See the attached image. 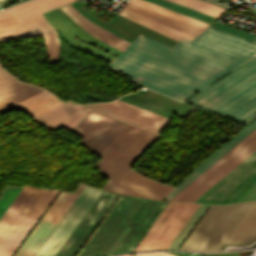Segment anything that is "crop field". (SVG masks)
<instances>
[{
	"instance_id": "obj_1",
	"label": "crop field",
	"mask_w": 256,
	"mask_h": 256,
	"mask_svg": "<svg viewBox=\"0 0 256 256\" xmlns=\"http://www.w3.org/2000/svg\"><path fill=\"white\" fill-rule=\"evenodd\" d=\"M256 54V44L208 27L191 41L173 47L143 35L109 68L131 81L184 100Z\"/></svg>"
},
{
	"instance_id": "obj_2",
	"label": "crop field",
	"mask_w": 256,
	"mask_h": 256,
	"mask_svg": "<svg viewBox=\"0 0 256 256\" xmlns=\"http://www.w3.org/2000/svg\"><path fill=\"white\" fill-rule=\"evenodd\" d=\"M166 203L121 195L77 256L132 251Z\"/></svg>"
},
{
	"instance_id": "obj_3",
	"label": "crop field",
	"mask_w": 256,
	"mask_h": 256,
	"mask_svg": "<svg viewBox=\"0 0 256 256\" xmlns=\"http://www.w3.org/2000/svg\"><path fill=\"white\" fill-rule=\"evenodd\" d=\"M186 102L247 124L256 117V56Z\"/></svg>"
},
{
	"instance_id": "obj_4",
	"label": "crop field",
	"mask_w": 256,
	"mask_h": 256,
	"mask_svg": "<svg viewBox=\"0 0 256 256\" xmlns=\"http://www.w3.org/2000/svg\"><path fill=\"white\" fill-rule=\"evenodd\" d=\"M251 203L211 205L180 249L217 250ZM255 238L256 201H253L224 242L252 243Z\"/></svg>"
},
{
	"instance_id": "obj_5",
	"label": "crop field",
	"mask_w": 256,
	"mask_h": 256,
	"mask_svg": "<svg viewBox=\"0 0 256 256\" xmlns=\"http://www.w3.org/2000/svg\"><path fill=\"white\" fill-rule=\"evenodd\" d=\"M76 0H30L20 5L1 11L0 14V41H7L19 37H31L42 34L45 41L49 63L59 62L60 46L57 31L45 20L42 13L58 8Z\"/></svg>"
},
{
	"instance_id": "obj_6",
	"label": "crop field",
	"mask_w": 256,
	"mask_h": 256,
	"mask_svg": "<svg viewBox=\"0 0 256 256\" xmlns=\"http://www.w3.org/2000/svg\"><path fill=\"white\" fill-rule=\"evenodd\" d=\"M129 125L98 156L102 157L98 168L109 178L114 179L140 156L158 137Z\"/></svg>"
},
{
	"instance_id": "obj_7",
	"label": "crop field",
	"mask_w": 256,
	"mask_h": 256,
	"mask_svg": "<svg viewBox=\"0 0 256 256\" xmlns=\"http://www.w3.org/2000/svg\"><path fill=\"white\" fill-rule=\"evenodd\" d=\"M256 182V150L194 202L232 203Z\"/></svg>"
},
{
	"instance_id": "obj_8",
	"label": "crop field",
	"mask_w": 256,
	"mask_h": 256,
	"mask_svg": "<svg viewBox=\"0 0 256 256\" xmlns=\"http://www.w3.org/2000/svg\"><path fill=\"white\" fill-rule=\"evenodd\" d=\"M198 205L169 202L135 250L168 248Z\"/></svg>"
},
{
	"instance_id": "obj_9",
	"label": "crop field",
	"mask_w": 256,
	"mask_h": 256,
	"mask_svg": "<svg viewBox=\"0 0 256 256\" xmlns=\"http://www.w3.org/2000/svg\"><path fill=\"white\" fill-rule=\"evenodd\" d=\"M117 197L102 191L55 256H74Z\"/></svg>"
},
{
	"instance_id": "obj_10",
	"label": "crop field",
	"mask_w": 256,
	"mask_h": 256,
	"mask_svg": "<svg viewBox=\"0 0 256 256\" xmlns=\"http://www.w3.org/2000/svg\"><path fill=\"white\" fill-rule=\"evenodd\" d=\"M84 185H80L75 194L61 192L56 201L53 203L51 208L45 214L43 219L21 246L15 256H33L40 245L43 243L45 238L54 228L56 223L65 213L67 208L73 202L75 197L81 191Z\"/></svg>"
},
{
	"instance_id": "obj_11",
	"label": "crop field",
	"mask_w": 256,
	"mask_h": 256,
	"mask_svg": "<svg viewBox=\"0 0 256 256\" xmlns=\"http://www.w3.org/2000/svg\"><path fill=\"white\" fill-rule=\"evenodd\" d=\"M118 99L162 115L169 119L173 114L185 118L198 109L162 96L150 90L146 91L143 89L136 93L122 96Z\"/></svg>"
},
{
	"instance_id": "obj_12",
	"label": "crop field",
	"mask_w": 256,
	"mask_h": 256,
	"mask_svg": "<svg viewBox=\"0 0 256 256\" xmlns=\"http://www.w3.org/2000/svg\"><path fill=\"white\" fill-rule=\"evenodd\" d=\"M43 192L25 186L0 218V249Z\"/></svg>"
},
{
	"instance_id": "obj_13",
	"label": "crop field",
	"mask_w": 256,
	"mask_h": 256,
	"mask_svg": "<svg viewBox=\"0 0 256 256\" xmlns=\"http://www.w3.org/2000/svg\"><path fill=\"white\" fill-rule=\"evenodd\" d=\"M256 149V135L177 201L193 202Z\"/></svg>"
},
{
	"instance_id": "obj_14",
	"label": "crop field",
	"mask_w": 256,
	"mask_h": 256,
	"mask_svg": "<svg viewBox=\"0 0 256 256\" xmlns=\"http://www.w3.org/2000/svg\"><path fill=\"white\" fill-rule=\"evenodd\" d=\"M90 111L73 102H67L31 120L45 127H64L71 130Z\"/></svg>"
},
{
	"instance_id": "obj_15",
	"label": "crop field",
	"mask_w": 256,
	"mask_h": 256,
	"mask_svg": "<svg viewBox=\"0 0 256 256\" xmlns=\"http://www.w3.org/2000/svg\"><path fill=\"white\" fill-rule=\"evenodd\" d=\"M256 128V119L249 124L246 128L241 130L235 137L225 143L216 152H214L210 157H208L204 162H202L196 169H194L188 176H186L180 183H178L172 192L167 196V200L172 198L176 193H178L182 188H184L188 183H190L194 178H196L200 173H202L206 168H208L212 163H214L218 158H220L224 153H226L230 148L237 144L241 139H243L247 134H249L253 129Z\"/></svg>"
},
{
	"instance_id": "obj_16",
	"label": "crop field",
	"mask_w": 256,
	"mask_h": 256,
	"mask_svg": "<svg viewBox=\"0 0 256 256\" xmlns=\"http://www.w3.org/2000/svg\"><path fill=\"white\" fill-rule=\"evenodd\" d=\"M64 12H66L80 27L86 30L95 38L103 41L104 43L120 50L124 51L126 47L130 44L119 37L111 34L110 32L100 28L89 20L85 19L83 15L77 12L70 5L60 8Z\"/></svg>"
},
{
	"instance_id": "obj_17",
	"label": "crop field",
	"mask_w": 256,
	"mask_h": 256,
	"mask_svg": "<svg viewBox=\"0 0 256 256\" xmlns=\"http://www.w3.org/2000/svg\"><path fill=\"white\" fill-rule=\"evenodd\" d=\"M96 105L120 113L122 115L131 117L133 119L139 120L141 122L147 123L160 129H162V127L169 121V119L167 118L161 117L149 111L143 110L131 104L120 101L118 99L110 103H100Z\"/></svg>"
},
{
	"instance_id": "obj_18",
	"label": "crop field",
	"mask_w": 256,
	"mask_h": 256,
	"mask_svg": "<svg viewBox=\"0 0 256 256\" xmlns=\"http://www.w3.org/2000/svg\"><path fill=\"white\" fill-rule=\"evenodd\" d=\"M128 124L111 118L98 132H96L83 147L93 151L97 155L115 139Z\"/></svg>"
},
{
	"instance_id": "obj_19",
	"label": "crop field",
	"mask_w": 256,
	"mask_h": 256,
	"mask_svg": "<svg viewBox=\"0 0 256 256\" xmlns=\"http://www.w3.org/2000/svg\"><path fill=\"white\" fill-rule=\"evenodd\" d=\"M43 89L18 81L0 89V111Z\"/></svg>"
},
{
	"instance_id": "obj_20",
	"label": "crop field",
	"mask_w": 256,
	"mask_h": 256,
	"mask_svg": "<svg viewBox=\"0 0 256 256\" xmlns=\"http://www.w3.org/2000/svg\"><path fill=\"white\" fill-rule=\"evenodd\" d=\"M61 103L54 95L43 90L15 105L35 117Z\"/></svg>"
},
{
	"instance_id": "obj_21",
	"label": "crop field",
	"mask_w": 256,
	"mask_h": 256,
	"mask_svg": "<svg viewBox=\"0 0 256 256\" xmlns=\"http://www.w3.org/2000/svg\"><path fill=\"white\" fill-rule=\"evenodd\" d=\"M125 7L129 8V9H131V10H133V11H135V12L141 14V15H144L148 18H151L153 20H156L160 23H163L167 26H170L174 29L183 31L185 33L191 34L193 36H195L198 33L204 31V29H201V28H198L196 26L184 23L182 21L170 18V17L165 16V15L159 14L157 12H154L152 10H149L147 8H144L142 6L136 5V4L131 3V2L126 4Z\"/></svg>"
},
{
	"instance_id": "obj_22",
	"label": "crop field",
	"mask_w": 256,
	"mask_h": 256,
	"mask_svg": "<svg viewBox=\"0 0 256 256\" xmlns=\"http://www.w3.org/2000/svg\"><path fill=\"white\" fill-rule=\"evenodd\" d=\"M119 14H121V15H123V16H125V17H127V18H129V19H131L133 21H135V22H138V23H140V24H142V25H144V26H146L148 28H151V29H153V30L163 34V35H166V36H168L170 38H173V39H175L177 41H179L182 37L187 38L189 40H191L193 38V36H191V35H188V34L180 32V31L174 30V29H172L170 27H167V26H165L163 24H160V23L155 22V21H153L151 19H148V18H146L144 16H141V15H139L137 13L129 11V10L125 9V8H123L119 12Z\"/></svg>"
},
{
	"instance_id": "obj_23",
	"label": "crop field",
	"mask_w": 256,
	"mask_h": 256,
	"mask_svg": "<svg viewBox=\"0 0 256 256\" xmlns=\"http://www.w3.org/2000/svg\"><path fill=\"white\" fill-rule=\"evenodd\" d=\"M148 2H151L153 4L159 5L161 7L167 8L169 10L181 13L183 15L195 18L197 20H200L202 22H205L207 24L211 23L213 20H215L216 18L209 16L207 14L201 13L199 11L187 8V7H183L165 0H145Z\"/></svg>"
},
{
	"instance_id": "obj_24",
	"label": "crop field",
	"mask_w": 256,
	"mask_h": 256,
	"mask_svg": "<svg viewBox=\"0 0 256 256\" xmlns=\"http://www.w3.org/2000/svg\"><path fill=\"white\" fill-rule=\"evenodd\" d=\"M255 134H256V129L253 130L249 135H247L232 149H230L226 154H224L220 159H218L214 164H212L208 169H206L202 174H200L196 179H194L178 194H176L172 199H170V201H176L178 198H180L184 193H186L190 188H192L196 183H198L202 178H204L208 173H210L214 168H216L220 163H222L226 158H228L232 153H234L239 147H241L245 142H247Z\"/></svg>"
},
{
	"instance_id": "obj_25",
	"label": "crop field",
	"mask_w": 256,
	"mask_h": 256,
	"mask_svg": "<svg viewBox=\"0 0 256 256\" xmlns=\"http://www.w3.org/2000/svg\"><path fill=\"white\" fill-rule=\"evenodd\" d=\"M209 205L200 204L199 207L196 209V211L193 213V215L189 218V220L186 222V224L182 227V229L179 231L169 248L178 249L184 238L187 236V234L190 232V230L193 228V226L196 224V222L199 220V218L202 216V214L205 212V210L208 208Z\"/></svg>"
},
{
	"instance_id": "obj_26",
	"label": "crop field",
	"mask_w": 256,
	"mask_h": 256,
	"mask_svg": "<svg viewBox=\"0 0 256 256\" xmlns=\"http://www.w3.org/2000/svg\"><path fill=\"white\" fill-rule=\"evenodd\" d=\"M131 2H134V3H136V4L145 6V7L150 8V9H153V10H155V11L161 12V13H163V14H165V15H168V16H171V17H174V18H177V19H179V20H182V21L191 23V24H193V25L202 27V28H204V29H205L206 26H207V24H205V23H202V22L197 21V20H195V19H192V18L183 16V15L178 14V13L169 11V10H167V9H164V8L159 7V6L153 5V4H151V3L145 2V1H143V0H131Z\"/></svg>"
},
{
	"instance_id": "obj_27",
	"label": "crop field",
	"mask_w": 256,
	"mask_h": 256,
	"mask_svg": "<svg viewBox=\"0 0 256 256\" xmlns=\"http://www.w3.org/2000/svg\"><path fill=\"white\" fill-rule=\"evenodd\" d=\"M84 106L89 107V108H92V109L97 110V111H100V112L105 113V114H107V115L113 116V117H115V118L121 119V120H123V121H126V122H128V123L134 124V125H136V126H139V127H141V128L147 129V130H149V131L155 132V133H157V134H159V132H160V129H157V128H155V127H152V126H149V125H147V124L141 123V122H139V121L133 120V119H131V118L122 116V115H120V114L114 113V112H112V111L106 110V109L101 108V107H98V106H96V105L87 104V105H84Z\"/></svg>"
},
{
	"instance_id": "obj_28",
	"label": "crop field",
	"mask_w": 256,
	"mask_h": 256,
	"mask_svg": "<svg viewBox=\"0 0 256 256\" xmlns=\"http://www.w3.org/2000/svg\"><path fill=\"white\" fill-rule=\"evenodd\" d=\"M214 23H216V24L215 25L211 24V27L216 28V29H218L220 31H223L225 33H228V34H231V35H234V36H237V37H240V38H243V39H246V40H249V41H252V42L256 43V36H254L252 34H249V33H246L244 31L232 28L230 26L221 24V23L216 22V21Z\"/></svg>"
},
{
	"instance_id": "obj_29",
	"label": "crop field",
	"mask_w": 256,
	"mask_h": 256,
	"mask_svg": "<svg viewBox=\"0 0 256 256\" xmlns=\"http://www.w3.org/2000/svg\"><path fill=\"white\" fill-rule=\"evenodd\" d=\"M20 188L8 186L0 196V217L7 209L13 198L16 196Z\"/></svg>"
},
{
	"instance_id": "obj_30",
	"label": "crop field",
	"mask_w": 256,
	"mask_h": 256,
	"mask_svg": "<svg viewBox=\"0 0 256 256\" xmlns=\"http://www.w3.org/2000/svg\"><path fill=\"white\" fill-rule=\"evenodd\" d=\"M16 81L0 67V88Z\"/></svg>"
},
{
	"instance_id": "obj_31",
	"label": "crop field",
	"mask_w": 256,
	"mask_h": 256,
	"mask_svg": "<svg viewBox=\"0 0 256 256\" xmlns=\"http://www.w3.org/2000/svg\"><path fill=\"white\" fill-rule=\"evenodd\" d=\"M250 199H256V185L250 191H248L239 201Z\"/></svg>"
},
{
	"instance_id": "obj_32",
	"label": "crop field",
	"mask_w": 256,
	"mask_h": 256,
	"mask_svg": "<svg viewBox=\"0 0 256 256\" xmlns=\"http://www.w3.org/2000/svg\"><path fill=\"white\" fill-rule=\"evenodd\" d=\"M139 256H174L167 252H150V253H143Z\"/></svg>"
},
{
	"instance_id": "obj_33",
	"label": "crop field",
	"mask_w": 256,
	"mask_h": 256,
	"mask_svg": "<svg viewBox=\"0 0 256 256\" xmlns=\"http://www.w3.org/2000/svg\"><path fill=\"white\" fill-rule=\"evenodd\" d=\"M3 1H4V0H0V5L2 4Z\"/></svg>"
},
{
	"instance_id": "obj_34",
	"label": "crop field",
	"mask_w": 256,
	"mask_h": 256,
	"mask_svg": "<svg viewBox=\"0 0 256 256\" xmlns=\"http://www.w3.org/2000/svg\"><path fill=\"white\" fill-rule=\"evenodd\" d=\"M20 1H24V0H20Z\"/></svg>"
},
{
	"instance_id": "obj_35",
	"label": "crop field",
	"mask_w": 256,
	"mask_h": 256,
	"mask_svg": "<svg viewBox=\"0 0 256 256\" xmlns=\"http://www.w3.org/2000/svg\"><path fill=\"white\" fill-rule=\"evenodd\" d=\"M128 256H130V255H128Z\"/></svg>"
}]
</instances>
